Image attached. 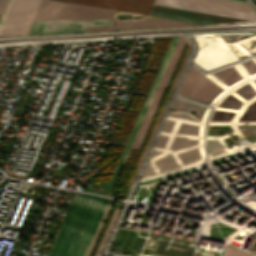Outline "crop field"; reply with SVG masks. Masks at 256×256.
Wrapping results in <instances>:
<instances>
[{
	"mask_svg": "<svg viewBox=\"0 0 256 256\" xmlns=\"http://www.w3.org/2000/svg\"><path fill=\"white\" fill-rule=\"evenodd\" d=\"M116 12L118 11L42 0L28 32L188 23L162 17L146 19L142 22H117L113 19V14Z\"/></svg>",
	"mask_w": 256,
	"mask_h": 256,
	"instance_id": "crop-field-1",
	"label": "crop field"
},
{
	"mask_svg": "<svg viewBox=\"0 0 256 256\" xmlns=\"http://www.w3.org/2000/svg\"><path fill=\"white\" fill-rule=\"evenodd\" d=\"M108 200L75 192L48 256H84Z\"/></svg>",
	"mask_w": 256,
	"mask_h": 256,
	"instance_id": "crop-field-2",
	"label": "crop field"
},
{
	"mask_svg": "<svg viewBox=\"0 0 256 256\" xmlns=\"http://www.w3.org/2000/svg\"><path fill=\"white\" fill-rule=\"evenodd\" d=\"M185 42H186L187 45H188V50H187V53H186L184 62H183L182 67H181V69H180V71H179V73H178V75H177V77H176V79H175V81H174V84H173V86H172V89H171V91H170V93H169V96H168V98H167V100H166V103H165V105H164V107H163V110H162V112H161V114H160V116H159V118H158V120H157V122H156V124H155V126H154V129H153V131H152V133H151V136H150V138H149V140H148V142H147V145H146V147H145V149H144V152H143V154H142V156H141V159H140V161H139V163H138V166H137V168H136V170H135V172H134V175H133V177H132V179H131V182H130V184H129V186H128L129 188L131 187V185H132V183H133V181H134V178H135V176H136V174H137V172H138V169H139V167H140V165H141V163H142V161H143V159H144V157H145V154H146V152H147V150H148V148H149V145H150V143H151V141H152V138H153V136H154V134H155V132H156L157 126H158V124H159V122H160V119H161V117H162V115H163V112H164V110H165V108H166V106H167V103H168V101H169V99H170V96H171V94H172V92H173V89H174V87H175V85H176V82H177V80H178V78H179V76H180V73H181V71H182V69H183V66H184V64H185V61H186V59H187V56H188V53H189V50H190V43H189V41H187L185 38H183V37H181V36L179 37V40H178L177 46H176V48H175V50H174V53H173V55H172V57H171V59H170V62H169V64H168L166 70H165V73H164V75H163V77H162V79H161V82H160V84H159V86H158V89H157V91H156V93H155V95H154V97H153V100H152V102H151V104H150V107H149V109H148V111H147V114H146V116H145V118H144V120H143V123H142V125H141V127H140V130H139V132H138V134H137V137H136V139H135V141H134V144H133V146H132V148H131V149H135V150H138V149H139V147H140V145H141V142H142V140H143V138H144V136H145V133H146V131H147V129H148V126H149V124H150V122H151V119H152V117H153V115H154V112H155L157 106H158V103H159V101H160V99H161V96H162V94H163V92H164V89H165V87H166V85H167V83H168V80H169V78H170V76H171V73H172V71H173V69H174V67H175V64H176V62H177V60H178V57H179V55H180V53H181V51H182V48H183Z\"/></svg>",
	"mask_w": 256,
	"mask_h": 256,
	"instance_id": "crop-field-3",
	"label": "crop field"
},
{
	"mask_svg": "<svg viewBox=\"0 0 256 256\" xmlns=\"http://www.w3.org/2000/svg\"><path fill=\"white\" fill-rule=\"evenodd\" d=\"M41 0H8L0 16V35L26 33Z\"/></svg>",
	"mask_w": 256,
	"mask_h": 256,
	"instance_id": "crop-field-4",
	"label": "crop field"
},
{
	"mask_svg": "<svg viewBox=\"0 0 256 256\" xmlns=\"http://www.w3.org/2000/svg\"><path fill=\"white\" fill-rule=\"evenodd\" d=\"M222 88L207 76L190 68L178 94L210 101Z\"/></svg>",
	"mask_w": 256,
	"mask_h": 256,
	"instance_id": "crop-field-5",
	"label": "crop field"
},
{
	"mask_svg": "<svg viewBox=\"0 0 256 256\" xmlns=\"http://www.w3.org/2000/svg\"><path fill=\"white\" fill-rule=\"evenodd\" d=\"M178 37H179V36H175L174 39H173V41H172V44H171V46H170V48H169V51H168V53H167V55H166V57H165V60H164V62H163V64H162V67H161V69H160V71H159V74H158V76H157V78H156V80H155V83H154V85H153V87H152V90H151V92H150V94H149V96H148V99H147V101H146V103H145V106H144V108H143V110H142V112H141V114H140V117H139V119H138V121H137V123H136V125H135V127H134V130H133V132H132V134H131V136H130V138H129V141H128L127 145H126V148H125V150H124V153H123V155H122V157H121V161H120V163H119V165H118V167H117V169H116V171H115V173H114V176H113V178H112V180H111V182H110V184H109V186H108V188H107V191H106V194H105V195H107V196L110 195V193H111V191H112V189H113V186H114V184H115V182H116V180H117V177H118V175H119V173H120V171H121V168H122V166H123V164H124V162H125V159H126L128 153H129V150H130V148H131V146H132V144H133V141H134V139H135V137H136V134H137V132H138V129H139V127H140V125H141V122H142V120H143V118H144V115H145V113H146V111H147V108H148V106H149V103H150V101H151V99H152V97H153V95H154V93H155V91H156V88H157V86H158V84H159V82H160V79H161L162 74H163V72H164V70H165V67H166V65H167V63H168V60H169V58H170V55H171V53H172V51H173V48H174L176 42H177Z\"/></svg>",
	"mask_w": 256,
	"mask_h": 256,
	"instance_id": "crop-field-6",
	"label": "crop field"
},
{
	"mask_svg": "<svg viewBox=\"0 0 256 256\" xmlns=\"http://www.w3.org/2000/svg\"><path fill=\"white\" fill-rule=\"evenodd\" d=\"M82 5L149 14L153 0H61Z\"/></svg>",
	"mask_w": 256,
	"mask_h": 256,
	"instance_id": "crop-field-7",
	"label": "crop field"
},
{
	"mask_svg": "<svg viewBox=\"0 0 256 256\" xmlns=\"http://www.w3.org/2000/svg\"><path fill=\"white\" fill-rule=\"evenodd\" d=\"M155 1L156 2L154 4H158V5L178 7V8H184V9L200 11V12L215 13V14L233 16L238 18H244L248 20L256 19V15L254 14H248V13H242V12H236V11H230V10H224V9L200 6V5H193V4H187V3H180V2H174V1H167V0H155Z\"/></svg>",
	"mask_w": 256,
	"mask_h": 256,
	"instance_id": "crop-field-8",
	"label": "crop field"
},
{
	"mask_svg": "<svg viewBox=\"0 0 256 256\" xmlns=\"http://www.w3.org/2000/svg\"><path fill=\"white\" fill-rule=\"evenodd\" d=\"M176 1L212 6V7H219V8H225V9H232V10L251 13V11L249 10L245 2H239V1H233V0H176Z\"/></svg>",
	"mask_w": 256,
	"mask_h": 256,
	"instance_id": "crop-field-9",
	"label": "crop field"
},
{
	"mask_svg": "<svg viewBox=\"0 0 256 256\" xmlns=\"http://www.w3.org/2000/svg\"><path fill=\"white\" fill-rule=\"evenodd\" d=\"M121 206H122V203H120V204L115 208V210H114V212H113V214H112V216H111V219H110V221H109V223H108V226H107V228H106V230H105V233H104V235H103V237H102V240H101V242H100V244H99V247H98V249H97V251H96L95 256H103L102 254H100L99 249H101V248H103V247L105 246V244H106V242H107V240H108V238H109V235H110V233H111V230H112V228H113V225H114V223H115V221H116V218H117V216H118V213H119V211H120Z\"/></svg>",
	"mask_w": 256,
	"mask_h": 256,
	"instance_id": "crop-field-10",
	"label": "crop field"
},
{
	"mask_svg": "<svg viewBox=\"0 0 256 256\" xmlns=\"http://www.w3.org/2000/svg\"><path fill=\"white\" fill-rule=\"evenodd\" d=\"M212 75L220 79L225 84H228L233 80L240 78V76L232 68L213 73Z\"/></svg>",
	"mask_w": 256,
	"mask_h": 256,
	"instance_id": "crop-field-11",
	"label": "crop field"
},
{
	"mask_svg": "<svg viewBox=\"0 0 256 256\" xmlns=\"http://www.w3.org/2000/svg\"><path fill=\"white\" fill-rule=\"evenodd\" d=\"M111 204H112V201L110 200L109 203H108V205H107V207H106V209H105V211H104V213H103V216H102V218H101V220H100V223H99V225H98V227H97V230H96V232H95V234H94V236H93V239H92V241H91V243H90V246H89V248H88L87 253H86L85 256H89V254H90V252H91V250H92V248H93V246H94V243H95V241H96V239H97V236H98V234H99V231H100V229H101V227H102V224H103V222H104V220H105V217H106V215H107V213H108V211H109V208H110Z\"/></svg>",
	"mask_w": 256,
	"mask_h": 256,
	"instance_id": "crop-field-12",
	"label": "crop field"
},
{
	"mask_svg": "<svg viewBox=\"0 0 256 256\" xmlns=\"http://www.w3.org/2000/svg\"><path fill=\"white\" fill-rule=\"evenodd\" d=\"M234 112L235 111H232V110H226V109L217 108V110L214 113L213 118L220 119V120L231 121L232 117L234 115Z\"/></svg>",
	"mask_w": 256,
	"mask_h": 256,
	"instance_id": "crop-field-13",
	"label": "crop field"
},
{
	"mask_svg": "<svg viewBox=\"0 0 256 256\" xmlns=\"http://www.w3.org/2000/svg\"><path fill=\"white\" fill-rule=\"evenodd\" d=\"M195 128L196 127H194V126H190V125H186V124L181 123L177 132H176V134L193 137L194 132H195Z\"/></svg>",
	"mask_w": 256,
	"mask_h": 256,
	"instance_id": "crop-field-14",
	"label": "crop field"
},
{
	"mask_svg": "<svg viewBox=\"0 0 256 256\" xmlns=\"http://www.w3.org/2000/svg\"><path fill=\"white\" fill-rule=\"evenodd\" d=\"M178 157L184 163V162H187V161H191V160L197 159L199 157V154H198V150L196 148V149H193V150H190V151L178 154Z\"/></svg>",
	"mask_w": 256,
	"mask_h": 256,
	"instance_id": "crop-field-15",
	"label": "crop field"
},
{
	"mask_svg": "<svg viewBox=\"0 0 256 256\" xmlns=\"http://www.w3.org/2000/svg\"><path fill=\"white\" fill-rule=\"evenodd\" d=\"M175 165H176V163H175L174 159L172 158L171 154L154 164V166H156L160 169L175 166Z\"/></svg>",
	"mask_w": 256,
	"mask_h": 256,
	"instance_id": "crop-field-16",
	"label": "crop field"
},
{
	"mask_svg": "<svg viewBox=\"0 0 256 256\" xmlns=\"http://www.w3.org/2000/svg\"><path fill=\"white\" fill-rule=\"evenodd\" d=\"M242 102V100L232 93L222 102V104L238 108Z\"/></svg>",
	"mask_w": 256,
	"mask_h": 256,
	"instance_id": "crop-field-17",
	"label": "crop field"
},
{
	"mask_svg": "<svg viewBox=\"0 0 256 256\" xmlns=\"http://www.w3.org/2000/svg\"><path fill=\"white\" fill-rule=\"evenodd\" d=\"M240 120H256V107L249 104Z\"/></svg>",
	"mask_w": 256,
	"mask_h": 256,
	"instance_id": "crop-field-18",
	"label": "crop field"
},
{
	"mask_svg": "<svg viewBox=\"0 0 256 256\" xmlns=\"http://www.w3.org/2000/svg\"><path fill=\"white\" fill-rule=\"evenodd\" d=\"M237 68L244 74V75H247L251 72H254L256 71V68L250 63H244V64H241L239 66H237Z\"/></svg>",
	"mask_w": 256,
	"mask_h": 256,
	"instance_id": "crop-field-19",
	"label": "crop field"
},
{
	"mask_svg": "<svg viewBox=\"0 0 256 256\" xmlns=\"http://www.w3.org/2000/svg\"><path fill=\"white\" fill-rule=\"evenodd\" d=\"M238 90L241 91L248 98L256 93L255 88L253 86V83H250V84H248V85H246V86H244V87H242Z\"/></svg>",
	"mask_w": 256,
	"mask_h": 256,
	"instance_id": "crop-field-20",
	"label": "crop field"
},
{
	"mask_svg": "<svg viewBox=\"0 0 256 256\" xmlns=\"http://www.w3.org/2000/svg\"><path fill=\"white\" fill-rule=\"evenodd\" d=\"M173 140H174L176 149L191 145L190 141H187V140H181V139H175V138H173Z\"/></svg>",
	"mask_w": 256,
	"mask_h": 256,
	"instance_id": "crop-field-21",
	"label": "crop field"
},
{
	"mask_svg": "<svg viewBox=\"0 0 256 256\" xmlns=\"http://www.w3.org/2000/svg\"><path fill=\"white\" fill-rule=\"evenodd\" d=\"M159 153H160V151L153 150L148 164H150L153 160H155V159L157 158V156H158ZM148 164H147V165H148ZM148 173H151V172L145 169L143 175H146V174H148ZM143 175H142V176H143Z\"/></svg>",
	"mask_w": 256,
	"mask_h": 256,
	"instance_id": "crop-field-22",
	"label": "crop field"
},
{
	"mask_svg": "<svg viewBox=\"0 0 256 256\" xmlns=\"http://www.w3.org/2000/svg\"><path fill=\"white\" fill-rule=\"evenodd\" d=\"M170 116H175V117H179V118H184V119H189V120L196 121V120H194L193 118H191L190 116H188L186 114H170Z\"/></svg>",
	"mask_w": 256,
	"mask_h": 256,
	"instance_id": "crop-field-23",
	"label": "crop field"
},
{
	"mask_svg": "<svg viewBox=\"0 0 256 256\" xmlns=\"http://www.w3.org/2000/svg\"><path fill=\"white\" fill-rule=\"evenodd\" d=\"M166 137L165 136H159L157 142H156V145L155 146H158V147H162L164 141H165Z\"/></svg>",
	"mask_w": 256,
	"mask_h": 256,
	"instance_id": "crop-field-24",
	"label": "crop field"
},
{
	"mask_svg": "<svg viewBox=\"0 0 256 256\" xmlns=\"http://www.w3.org/2000/svg\"><path fill=\"white\" fill-rule=\"evenodd\" d=\"M172 123H173V121L167 120L162 131L168 132Z\"/></svg>",
	"mask_w": 256,
	"mask_h": 256,
	"instance_id": "crop-field-25",
	"label": "crop field"
},
{
	"mask_svg": "<svg viewBox=\"0 0 256 256\" xmlns=\"http://www.w3.org/2000/svg\"><path fill=\"white\" fill-rule=\"evenodd\" d=\"M6 1H7V0H0V13H1V11H2V9H3V7H4L5 3H6Z\"/></svg>",
	"mask_w": 256,
	"mask_h": 256,
	"instance_id": "crop-field-26",
	"label": "crop field"
}]
</instances>
